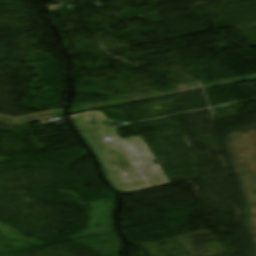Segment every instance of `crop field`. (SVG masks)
I'll use <instances>...</instances> for the list:
<instances>
[{
    "instance_id": "obj_1",
    "label": "crop field",
    "mask_w": 256,
    "mask_h": 256,
    "mask_svg": "<svg viewBox=\"0 0 256 256\" xmlns=\"http://www.w3.org/2000/svg\"><path fill=\"white\" fill-rule=\"evenodd\" d=\"M75 123L96 152L108 180L120 193L169 184L141 137L121 140L115 131H106L98 113L74 118ZM104 137L111 140L106 141Z\"/></svg>"
}]
</instances>
